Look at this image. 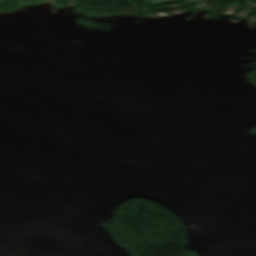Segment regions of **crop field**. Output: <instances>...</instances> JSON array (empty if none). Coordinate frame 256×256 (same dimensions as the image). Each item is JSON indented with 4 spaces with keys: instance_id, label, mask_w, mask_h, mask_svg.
<instances>
[{
    "instance_id": "obj_1",
    "label": "crop field",
    "mask_w": 256,
    "mask_h": 256,
    "mask_svg": "<svg viewBox=\"0 0 256 256\" xmlns=\"http://www.w3.org/2000/svg\"><path fill=\"white\" fill-rule=\"evenodd\" d=\"M143 1L152 6H156V5L178 2V1H183V0H143ZM205 1H208V0H187V1H185V3H186V5H191V4H197V3H201V2H205Z\"/></svg>"
}]
</instances>
